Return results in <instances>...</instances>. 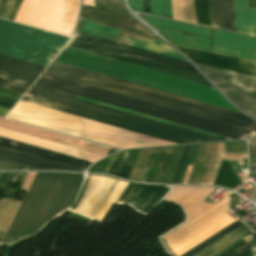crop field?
Here are the masks:
<instances>
[{
  "label": "crop field",
  "instance_id": "32",
  "mask_svg": "<svg viewBox=\"0 0 256 256\" xmlns=\"http://www.w3.org/2000/svg\"><path fill=\"white\" fill-rule=\"evenodd\" d=\"M189 147L190 146L184 147L183 152H182L181 157H180V160H179V163H178V166L176 168V171H175V174H174V177H173L171 183H176V184L178 183V180H179V177H180V174H181V171H182V168H183V165H184V162H185V159H186Z\"/></svg>",
  "mask_w": 256,
  "mask_h": 256
},
{
  "label": "crop field",
  "instance_id": "31",
  "mask_svg": "<svg viewBox=\"0 0 256 256\" xmlns=\"http://www.w3.org/2000/svg\"><path fill=\"white\" fill-rule=\"evenodd\" d=\"M249 251H251L250 244L243 241L220 256H242Z\"/></svg>",
  "mask_w": 256,
  "mask_h": 256
},
{
  "label": "crop field",
  "instance_id": "13",
  "mask_svg": "<svg viewBox=\"0 0 256 256\" xmlns=\"http://www.w3.org/2000/svg\"><path fill=\"white\" fill-rule=\"evenodd\" d=\"M39 67V65L0 55V77L9 80L4 88L25 93L45 69L41 66L38 72Z\"/></svg>",
  "mask_w": 256,
  "mask_h": 256
},
{
  "label": "crop field",
  "instance_id": "12",
  "mask_svg": "<svg viewBox=\"0 0 256 256\" xmlns=\"http://www.w3.org/2000/svg\"><path fill=\"white\" fill-rule=\"evenodd\" d=\"M76 31L187 62L167 44L156 40L148 39L80 19L78 21Z\"/></svg>",
  "mask_w": 256,
  "mask_h": 256
},
{
  "label": "crop field",
  "instance_id": "26",
  "mask_svg": "<svg viewBox=\"0 0 256 256\" xmlns=\"http://www.w3.org/2000/svg\"><path fill=\"white\" fill-rule=\"evenodd\" d=\"M127 152L128 151H123L112 157L110 165L106 172L107 174H111L126 179L129 178L133 165L124 164Z\"/></svg>",
  "mask_w": 256,
  "mask_h": 256
},
{
  "label": "crop field",
  "instance_id": "17",
  "mask_svg": "<svg viewBox=\"0 0 256 256\" xmlns=\"http://www.w3.org/2000/svg\"><path fill=\"white\" fill-rule=\"evenodd\" d=\"M0 146L15 150V151L23 152L26 154H30L33 156H37L40 158H44L47 160H51L54 162H58L61 164L76 167L79 169H83V170H85L87 167L90 166V164H92V162H88V161L81 160L78 158L70 157L67 155H63V154L49 151L46 149L38 148V147L24 144L21 142H17L14 140L6 139L3 137H0Z\"/></svg>",
  "mask_w": 256,
  "mask_h": 256
},
{
  "label": "crop field",
  "instance_id": "38",
  "mask_svg": "<svg viewBox=\"0 0 256 256\" xmlns=\"http://www.w3.org/2000/svg\"><path fill=\"white\" fill-rule=\"evenodd\" d=\"M128 184H129V183H128ZM127 186H128V185H127ZM127 186H126V187H127ZM125 189H126V188H125ZM125 189H124V190H125ZM122 193H123V192H122ZM79 200H80V199H79ZM117 200H118V199H117ZM115 203H116V202H115ZM75 207H76V206H75ZM75 207H74V208H75Z\"/></svg>",
  "mask_w": 256,
  "mask_h": 256
},
{
  "label": "crop field",
  "instance_id": "33",
  "mask_svg": "<svg viewBox=\"0 0 256 256\" xmlns=\"http://www.w3.org/2000/svg\"><path fill=\"white\" fill-rule=\"evenodd\" d=\"M19 239H21V237L11 236L9 234L0 232V244H12Z\"/></svg>",
  "mask_w": 256,
  "mask_h": 256
},
{
  "label": "crop field",
  "instance_id": "37",
  "mask_svg": "<svg viewBox=\"0 0 256 256\" xmlns=\"http://www.w3.org/2000/svg\"><path fill=\"white\" fill-rule=\"evenodd\" d=\"M245 256H251V252H250V253H248V254H246Z\"/></svg>",
  "mask_w": 256,
  "mask_h": 256
},
{
  "label": "crop field",
  "instance_id": "3",
  "mask_svg": "<svg viewBox=\"0 0 256 256\" xmlns=\"http://www.w3.org/2000/svg\"><path fill=\"white\" fill-rule=\"evenodd\" d=\"M7 117L119 149L176 145L22 101Z\"/></svg>",
  "mask_w": 256,
  "mask_h": 256
},
{
  "label": "crop field",
  "instance_id": "11",
  "mask_svg": "<svg viewBox=\"0 0 256 256\" xmlns=\"http://www.w3.org/2000/svg\"><path fill=\"white\" fill-rule=\"evenodd\" d=\"M198 67L234 104L256 116V77Z\"/></svg>",
  "mask_w": 256,
  "mask_h": 256
},
{
  "label": "crop field",
  "instance_id": "1",
  "mask_svg": "<svg viewBox=\"0 0 256 256\" xmlns=\"http://www.w3.org/2000/svg\"><path fill=\"white\" fill-rule=\"evenodd\" d=\"M59 92L60 91H58V90H54L51 88H47V87H43V86L34 84L31 87V89L28 91V93L35 95L33 97V99L31 101H29V100L22 98L21 100L29 102V103L37 104L40 106H44L47 108H51L54 110L62 111L65 113H69L72 115L81 116V117H85V118L99 121L102 123L110 124L113 126H117L120 128H124L127 130H131L134 132H138V133L145 134L148 136L156 137V138L163 139V140L170 141V142L177 143V144H190V143L217 142V141L232 140L229 138H225V137L222 138L221 136H218V135H214V134L200 131L197 129L189 128V127L175 124L172 122L164 121V120L150 117L147 115H143L140 113L132 112V111L118 108L115 106H111L108 104H104V103H100V102L93 101L90 99H86L83 97L75 96V95L68 94L65 92H60V94H64L67 96H71L74 98L92 102L95 104L103 105L106 107H110L113 109H117L120 111H124L127 113H131L134 115H138L141 117H145L148 119L166 123L169 125H173L176 127H180V128H184V129L198 132L201 134H205L208 136H212L215 138H219V139L222 138L221 140L215 139L212 137H208V136L194 133L191 131H187L184 129L176 128L173 126H169L166 124H162L159 122H155L152 120H148L145 118L127 114V113L120 112L117 110L106 108L103 106L95 105L92 103H88L85 101H81L78 99L60 95V94H58Z\"/></svg>",
  "mask_w": 256,
  "mask_h": 256
},
{
  "label": "crop field",
  "instance_id": "10",
  "mask_svg": "<svg viewBox=\"0 0 256 256\" xmlns=\"http://www.w3.org/2000/svg\"><path fill=\"white\" fill-rule=\"evenodd\" d=\"M228 199L182 225L163 238L169 251L179 256L236 221L225 211Z\"/></svg>",
  "mask_w": 256,
  "mask_h": 256
},
{
  "label": "crop field",
  "instance_id": "36",
  "mask_svg": "<svg viewBox=\"0 0 256 256\" xmlns=\"http://www.w3.org/2000/svg\"><path fill=\"white\" fill-rule=\"evenodd\" d=\"M16 168H12V167H7V166H2L0 165V170H15Z\"/></svg>",
  "mask_w": 256,
  "mask_h": 256
},
{
  "label": "crop field",
  "instance_id": "21",
  "mask_svg": "<svg viewBox=\"0 0 256 256\" xmlns=\"http://www.w3.org/2000/svg\"><path fill=\"white\" fill-rule=\"evenodd\" d=\"M211 10L213 27L236 31L233 0H211Z\"/></svg>",
  "mask_w": 256,
  "mask_h": 256
},
{
  "label": "crop field",
  "instance_id": "30",
  "mask_svg": "<svg viewBox=\"0 0 256 256\" xmlns=\"http://www.w3.org/2000/svg\"><path fill=\"white\" fill-rule=\"evenodd\" d=\"M22 0H0V17L14 20Z\"/></svg>",
  "mask_w": 256,
  "mask_h": 256
},
{
  "label": "crop field",
  "instance_id": "28",
  "mask_svg": "<svg viewBox=\"0 0 256 256\" xmlns=\"http://www.w3.org/2000/svg\"><path fill=\"white\" fill-rule=\"evenodd\" d=\"M22 94L0 88V105L12 108ZM0 106V116L4 117L10 108Z\"/></svg>",
  "mask_w": 256,
  "mask_h": 256
},
{
  "label": "crop field",
  "instance_id": "9",
  "mask_svg": "<svg viewBox=\"0 0 256 256\" xmlns=\"http://www.w3.org/2000/svg\"><path fill=\"white\" fill-rule=\"evenodd\" d=\"M80 0H23L15 22L70 36Z\"/></svg>",
  "mask_w": 256,
  "mask_h": 256
},
{
  "label": "crop field",
  "instance_id": "16",
  "mask_svg": "<svg viewBox=\"0 0 256 256\" xmlns=\"http://www.w3.org/2000/svg\"><path fill=\"white\" fill-rule=\"evenodd\" d=\"M79 17L159 39L157 36L151 35L150 31L140 25L134 18L107 12L84 4L82 5Z\"/></svg>",
  "mask_w": 256,
  "mask_h": 256
},
{
  "label": "crop field",
  "instance_id": "34",
  "mask_svg": "<svg viewBox=\"0 0 256 256\" xmlns=\"http://www.w3.org/2000/svg\"><path fill=\"white\" fill-rule=\"evenodd\" d=\"M256 158V143L250 144V159Z\"/></svg>",
  "mask_w": 256,
  "mask_h": 256
},
{
  "label": "crop field",
  "instance_id": "23",
  "mask_svg": "<svg viewBox=\"0 0 256 256\" xmlns=\"http://www.w3.org/2000/svg\"><path fill=\"white\" fill-rule=\"evenodd\" d=\"M249 233L250 229L243 224L194 256H213Z\"/></svg>",
  "mask_w": 256,
  "mask_h": 256
},
{
  "label": "crop field",
  "instance_id": "5",
  "mask_svg": "<svg viewBox=\"0 0 256 256\" xmlns=\"http://www.w3.org/2000/svg\"><path fill=\"white\" fill-rule=\"evenodd\" d=\"M53 77L55 78L52 82L39 78L36 84L60 89L236 140L248 139L255 134L254 132L172 110L127 96L119 95L74 81L66 80L56 76Z\"/></svg>",
  "mask_w": 256,
  "mask_h": 256
},
{
  "label": "crop field",
  "instance_id": "2",
  "mask_svg": "<svg viewBox=\"0 0 256 256\" xmlns=\"http://www.w3.org/2000/svg\"><path fill=\"white\" fill-rule=\"evenodd\" d=\"M45 73L256 131V122L241 113L119 80L70 65L53 61Z\"/></svg>",
  "mask_w": 256,
  "mask_h": 256
},
{
  "label": "crop field",
  "instance_id": "24",
  "mask_svg": "<svg viewBox=\"0 0 256 256\" xmlns=\"http://www.w3.org/2000/svg\"><path fill=\"white\" fill-rule=\"evenodd\" d=\"M127 1L132 7L133 11H137V12L138 10L143 11L142 0H127ZM143 4H144V12L139 11L141 13L150 14V6H151V13L172 17L170 0H150V6H149V0H143ZM159 15H156V16H159ZM164 16H160V17H164ZM170 17H165V18H170Z\"/></svg>",
  "mask_w": 256,
  "mask_h": 256
},
{
  "label": "crop field",
  "instance_id": "20",
  "mask_svg": "<svg viewBox=\"0 0 256 256\" xmlns=\"http://www.w3.org/2000/svg\"><path fill=\"white\" fill-rule=\"evenodd\" d=\"M0 159L37 168L40 170H76L83 171L76 168L68 167L51 161L43 160L33 156L25 155L8 149L0 148Z\"/></svg>",
  "mask_w": 256,
  "mask_h": 256
},
{
  "label": "crop field",
  "instance_id": "7",
  "mask_svg": "<svg viewBox=\"0 0 256 256\" xmlns=\"http://www.w3.org/2000/svg\"><path fill=\"white\" fill-rule=\"evenodd\" d=\"M69 38L0 19V54L47 67ZM57 55V54H56ZM55 55V56H56Z\"/></svg>",
  "mask_w": 256,
  "mask_h": 256
},
{
  "label": "crop field",
  "instance_id": "8",
  "mask_svg": "<svg viewBox=\"0 0 256 256\" xmlns=\"http://www.w3.org/2000/svg\"><path fill=\"white\" fill-rule=\"evenodd\" d=\"M75 39L83 41V42H87V43H90V44H94V45H97V46H101V47H104V48L119 51V52H122V53H126V54H129V55H133V56H136V57H140V58H143V59H147V60H150V61H154V62H157V63H161V64H164V65L172 66V67H175V68H179V69H182V70H186V71H189V72L199 74L188 63H184V62H181V61H177V60H174V59H170V58L163 57V56H160V55H156V54H153V53H149V52H146V51L135 49V48H132V47L121 45V44L114 43V42H111V41H107V40L100 39V38H97V37H93V36L86 35V34H83V33L78 32ZM76 40H74L72 42L70 47H74V48L81 49V50H84V51H88V52H91V53L99 54V55H102V56H106V57H109V58H113V59H116V60H120V61H123V62L130 63V64H134V65H137V66L145 67V68H148V69H152V70H155V71H159V72H162V73H166V74H169V75H173V76H176V77H180V78H183V79H187V80H191V81H194V82H198V83H201V84L211 86L200 75H196V74L189 73V72H186V71H182V70H179V69H175V68H172V67L164 66V65H161V64H157V63H154V62H150V61H147V60H143V59H140V58H136V57H133V56H129V55L122 54V53L115 52V51L108 50V49H104V48H101V47H97V46L90 45V44L83 43V42L76 41Z\"/></svg>",
  "mask_w": 256,
  "mask_h": 256
},
{
  "label": "crop field",
  "instance_id": "4",
  "mask_svg": "<svg viewBox=\"0 0 256 256\" xmlns=\"http://www.w3.org/2000/svg\"><path fill=\"white\" fill-rule=\"evenodd\" d=\"M83 174L37 173L8 233L35 234L66 209Z\"/></svg>",
  "mask_w": 256,
  "mask_h": 256
},
{
  "label": "crop field",
  "instance_id": "19",
  "mask_svg": "<svg viewBox=\"0 0 256 256\" xmlns=\"http://www.w3.org/2000/svg\"><path fill=\"white\" fill-rule=\"evenodd\" d=\"M167 191L162 186L136 184L124 203L146 214Z\"/></svg>",
  "mask_w": 256,
  "mask_h": 256
},
{
  "label": "crop field",
  "instance_id": "14",
  "mask_svg": "<svg viewBox=\"0 0 256 256\" xmlns=\"http://www.w3.org/2000/svg\"><path fill=\"white\" fill-rule=\"evenodd\" d=\"M175 46V45H174ZM177 47L181 52H183L189 59H191L194 64L223 69V70H229L249 75H255L256 76V62L175 46Z\"/></svg>",
  "mask_w": 256,
  "mask_h": 256
},
{
  "label": "crop field",
  "instance_id": "15",
  "mask_svg": "<svg viewBox=\"0 0 256 256\" xmlns=\"http://www.w3.org/2000/svg\"><path fill=\"white\" fill-rule=\"evenodd\" d=\"M213 190L215 189L207 187L174 186L165 199L182 205L188 215V220H190L232 194L231 192H228V194L219 201L206 204L204 197Z\"/></svg>",
  "mask_w": 256,
  "mask_h": 256
},
{
  "label": "crop field",
  "instance_id": "22",
  "mask_svg": "<svg viewBox=\"0 0 256 256\" xmlns=\"http://www.w3.org/2000/svg\"><path fill=\"white\" fill-rule=\"evenodd\" d=\"M236 26L237 31L256 35V7H248L247 0H244L245 16H246V28H245V16L243 0H234Z\"/></svg>",
  "mask_w": 256,
  "mask_h": 256
},
{
  "label": "crop field",
  "instance_id": "29",
  "mask_svg": "<svg viewBox=\"0 0 256 256\" xmlns=\"http://www.w3.org/2000/svg\"><path fill=\"white\" fill-rule=\"evenodd\" d=\"M241 223L239 220L234 222L233 224H231L230 226L226 227L225 229L221 230L220 232H218L217 234L213 235L212 237H210L209 239L205 240L204 242H202L201 244H199L198 246L194 247L193 249H191L190 251H188L187 253H185L182 256H192L195 253H197L198 251L202 250L203 248H205L206 246L210 245L211 243H213L214 241L218 240L219 238H221L222 236L226 235L227 233H229L230 231H232L233 229L237 228L238 226H240Z\"/></svg>",
  "mask_w": 256,
  "mask_h": 256
},
{
  "label": "crop field",
  "instance_id": "6",
  "mask_svg": "<svg viewBox=\"0 0 256 256\" xmlns=\"http://www.w3.org/2000/svg\"><path fill=\"white\" fill-rule=\"evenodd\" d=\"M143 17L153 25L159 27L161 31L159 30V28L158 30L162 32L165 36H167L175 44L214 52L215 41H216V49H217V52L219 53L256 60V38L214 30L215 41H214V47H213V42L199 39V38H205V39L213 40L212 32H211V29L209 28H204V27H199V26H194V25H189L184 23H178V22H173V21H168V20H163V19H158V18H153L148 16H143ZM152 24L150 25L153 27ZM172 30L185 32L189 34H195V35H198L199 38L193 39V38H190L191 35L189 34L175 32ZM162 33L160 34L163 35ZM214 33H213V37H214ZM167 37L165 38L169 40ZM191 37L196 38V36L194 35H192ZM216 49H215V52H216Z\"/></svg>",
  "mask_w": 256,
  "mask_h": 256
},
{
  "label": "crop field",
  "instance_id": "35",
  "mask_svg": "<svg viewBox=\"0 0 256 256\" xmlns=\"http://www.w3.org/2000/svg\"><path fill=\"white\" fill-rule=\"evenodd\" d=\"M0 164L7 165V166H12V167H16V168H21V169L32 170V169H29V168H25V167L18 166V165H15V164H12V163H8V162H5V161H1V160H0Z\"/></svg>",
  "mask_w": 256,
  "mask_h": 256
},
{
  "label": "crop field",
  "instance_id": "25",
  "mask_svg": "<svg viewBox=\"0 0 256 256\" xmlns=\"http://www.w3.org/2000/svg\"><path fill=\"white\" fill-rule=\"evenodd\" d=\"M21 202L12 198L0 199V231L7 232Z\"/></svg>",
  "mask_w": 256,
  "mask_h": 256
},
{
  "label": "crop field",
  "instance_id": "18",
  "mask_svg": "<svg viewBox=\"0 0 256 256\" xmlns=\"http://www.w3.org/2000/svg\"><path fill=\"white\" fill-rule=\"evenodd\" d=\"M0 136L10 138V139H14V140H17V141H21V142H24V143H28V144H31V145H35V146H38V147L46 148V149L53 150V151H56V152H60V153H63V154H67V155H70V156L78 157V158L85 159V160L92 161V162H94V161L103 157V156H99V155H96V154H92V153H88V152H85V151H81V150L73 149V148H70V147L62 146V145H59V144H55V143H52V142H48V141H45V140H41V139H38V138L23 135V134H20V133H16V132H13V131L5 130V129H2V128H0Z\"/></svg>",
  "mask_w": 256,
  "mask_h": 256
},
{
  "label": "crop field",
  "instance_id": "27",
  "mask_svg": "<svg viewBox=\"0 0 256 256\" xmlns=\"http://www.w3.org/2000/svg\"><path fill=\"white\" fill-rule=\"evenodd\" d=\"M83 3L92 6L96 4V7L130 16L125 10L122 0H95V4L94 0H84Z\"/></svg>",
  "mask_w": 256,
  "mask_h": 256
}]
</instances>
